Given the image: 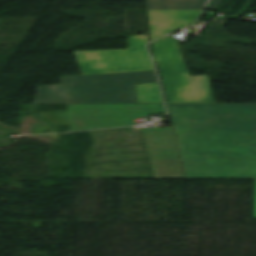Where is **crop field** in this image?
<instances>
[{"mask_svg": "<svg viewBox=\"0 0 256 256\" xmlns=\"http://www.w3.org/2000/svg\"><path fill=\"white\" fill-rule=\"evenodd\" d=\"M186 178L256 179V104H168Z\"/></svg>", "mask_w": 256, "mask_h": 256, "instance_id": "1", "label": "crop field"}, {"mask_svg": "<svg viewBox=\"0 0 256 256\" xmlns=\"http://www.w3.org/2000/svg\"><path fill=\"white\" fill-rule=\"evenodd\" d=\"M60 78L63 85L38 87L34 104L137 103L134 84L158 82L154 71Z\"/></svg>", "mask_w": 256, "mask_h": 256, "instance_id": "2", "label": "crop field"}, {"mask_svg": "<svg viewBox=\"0 0 256 256\" xmlns=\"http://www.w3.org/2000/svg\"><path fill=\"white\" fill-rule=\"evenodd\" d=\"M151 46L168 103H215L209 77H190L176 39L164 37Z\"/></svg>", "mask_w": 256, "mask_h": 256, "instance_id": "3", "label": "crop field"}, {"mask_svg": "<svg viewBox=\"0 0 256 256\" xmlns=\"http://www.w3.org/2000/svg\"><path fill=\"white\" fill-rule=\"evenodd\" d=\"M148 35L128 37V50L73 51L83 75L154 70Z\"/></svg>", "mask_w": 256, "mask_h": 256, "instance_id": "4", "label": "crop field"}, {"mask_svg": "<svg viewBox=\"0 0 256 256\" xmlns=\"http://www.w3.org/2000/svg\"><path fill=\"white\" fill-rule=\"evenodd\" d=\"M72 131L135 125L148 113H166L163 104H67Z\"/></svg>", "mask_w": 256, "mask_h": 256, "instance_id": "5", "label": "crop field"}, {"mask_svg": "<svg viewBox=\"0 0 256 256\" xmlns=\"http://www.w3.org/2000/svg\"><path fill=\"white\" fill-rule=\"evenodd\" d=\"M142 131L154 179L183 178L171 127Z\"/></svg>", "mask_w": 256, "mask_h": 256, "instance_id": "6", "label": "crop field"}, {"mask_svg": "<svg viewBox=\"0 0 256 256\" xmlns=\"http://www.w3.org/2000/svg\"><path fill=\"white\" fill-rule=\"evenodd\" d=\"M202 10L148 11L152 40L179 28L193 25Z\"/></svg>", "mask_w": 256, "mask_h": 256, "instance_id": "7", "label": "crop field"}, {"mask_svg": "<svg viewBox=\"0 0 256 256\" xmlns=\"http://www.w3.org/2000/svg\"><path fill=\"white\" fill-rule=\"evenodd\" d=\"M207 0H147L148 10L202 9Z\"/></svg>", "mask_w": 256, "mask_h": 256, "instance_id": "8", "label": "crop field"}, {"mask_svg": "<svg viewBox=\"0 0 256 256\" xmlns=\"http://www.w3.org/2000/svg\"><path fill=\"white\" fill-rule=\"evenodd\" d=\"M138 103H163L158 83L135 85Z\"/></svg>", "mask_w": 256, "mask_h": 256, "instance_id": "9", "label": "crop field"}, {"mask_svg": "<svg viewBox=\"0 0 256 256\" xmlns=\"http://www.w3.org/2000/svg\"><path fill=\"white\" fill-rule=\"evenodd\" d=\"M224 0H211L206 9L219 10Z\"/></svg>", "mask_w": 256, "mask_h": 256, "instance_id": "10", "label": "crop field"}, {"mask_svg": "<svg viewBox=\"0 0 256 256\" xmlns=\"http://www.w3.org/2000/svg\"><path fill=\"white\" fill-rule=\"evenodd\" d=\"M254 218H256V180H254Z\"/></svg>", "mask_w": 256, "mask_h": 256, "instance_id": "11", "label": "crop field"}]
</instances>
